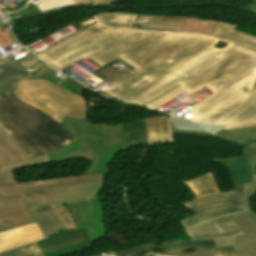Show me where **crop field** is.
<instances>
[{
    "label": "crop field",
    "mask_w": 256,
    "mask_h": 256,
    "mask_svg": "<svg viewBox=\"0 0 256 256\" xmlns=\"http://www.w3.org/2000/svg\"><path fill=\"white\" fill-rule=\"evenodd\" d=\"M197 34L112 29L97 23L37 54L63 70L85 56L100 66L116 59L135 70L107 95L155 109L202 87L214 94L189 110L192 120L214 123L240 106L256 80V53Z\"/></svg>",
    "instance_id": "1"
},
{
    "label": "crop field",
    "mask_w": 256,
    "mask_h": 256,
    "mask_svg": "<svg viewBox=\"0 0 256 256\" xmlns=\"http://www.w3.org/2000/svg\"><path fill=\"white\" fill-rule=\"evenodd\" d=\"M0 115L4 118L0 124L29 158L75 140L55 119L22 102L13 92L0 94Z\"/></svg>",
    "instance_id": "2"
},
{
    "label": "crop field",
    "mask_w": 256,
    "mask_h": 256,
    "mask_svg": "<svg viewBox=\"0 0 256 256\" xmlns=\"http://www.w3.org/2000/svg\"><path fill=\"white\" fill-rule=\"evenodd\" d=\"M76 140L48 153L52 162L82 158L92 163L84 173L106 172L115 154L124 148V125L93 124L65 116L59 123Z\"/></svg>",
    "instance_id": "3"
},
{
    "label": "crop field",
    "mask_w": 256,
    "mask_h": 256,
    "mask_svg": "<svg viewBox=\"0 0 256 256\" xmlns=\"http://www.w3.org/2000/svg\"><path fill=\"white\" fill-rule=\"evenodd\" d=\"M24 152L12 136L0 126V194L2 197L51 187L102 181L103 174H95L17 183L13 169L51 162L47 154L29 159Z\"/></svg>",
    "instance_id": "4"
},
{
    "label": "crop field",
    "mask_w": 256,
    "mask_h": 256,
    "mask_svg": "<svg viewBox=\"0 0 256 256\" xmlns=\"http://www.w3.org/2000/svg\"><path fill=\"white\" fill-rule=\"evenodd\" d=\"M101 185L102 182H98L43 190L51 206L66 204L76 227L89 226L91 243L106 233L102 224V205L97 195Z\"/></svg>",
    "instance_id": "5"
},
{
    "label": "crop field",
    "mask_w": 256,
    "mask_h": 256,
    "mask_svg": "<svg viewBox=\"0 0 256 256\" xmlns=\"http://www.w3.org/2000/svg\"><path fill=\"white\" fill-rule=\"evenodd\" d=\"M14 93L27 104L46 112L58 123L64 115L85 118L86 105L82 97L48 81L19 80Z\"/></svg>",
    "instance_id": "6"
},
{
    "label": "crop field",
    "mask_w": 256,
    "mask_h": 256,
    "mask_svg": "<svg viewBox=\"0 0 256 256\" xmlns=\"http://www.w3.org/2000/svg\"><path fill=\"white\" fill-rule=\"evenodd\" d=\"M242 186L216 195L185 201L181 205L205 220L239 211Z\"/></svg>",
    "instance_id": "7"
},
{
    "label": "crop field",
    "mask_w": 256,
    "mask_h": 256,
    "mask_svg": "<svg viewBox=\"0 0 256 256\" xmlns=\"http://www.w3.org/2000/svg\"><path fill=\"white\" fill-rule=\"evenodd\" d=\"M217 23L195 18L148 16L143 19H136L132 28L200 33L210 36Z\"/></svg>",
    "instance_id": "8"
},
{
    "label": "crop field",
    "mask_w": 256,
    "mask_h": 256,
    "mask_svg": "<svg viewBox=\"0 0 256 256\" xmlns=\"http://www.w3.org/2000/svg\"><path fill=\"white\" fill-rule=\"evenodd\" d=\"M37 244L45 256H59L91 246L88 228L53 234Z\"/></svg>",
    "instance_id": "9"
},
{
    "label": "crop field",
    "mask_w": 256,
    "mask_h": 256,
    "mask_svg": "<svg viewBox=\"0 0 256 256\" xmlns=\"http://www.w3.org/2000/svg\"><path fill=\"white\" fill-rule=\"evenodd\" d=\"M22 198L44 237L64 230L42 190L23 194Z\"/></svg>",
    "instance_id": "10"
},
{
    "label": "crop field",
    "mask_w": 256,
    "mask_h": 256,
    "mask_svg": "<svg viewBox=\"0 0 256 256\" xmlns=\"http://www.w3.org/2000/svg\"><path fill=\"white\" fill-rule=\"evenodd\" d=\"M34 223L20 195L0 197V232Z\"/></svg>",
    "instance_id": "11"
},
{
    "label": "crop field",
    "mask_w": 256,
    "mask_h": 256,
    "mask_svg": "<svg viewBox=\"0 0 256 256\" xmlns=\"http://www.w3.org/2000/svg\"><path fill=\"white\" fill-rule=\"evenodd\" d=\"M244 235L236 236L233 246L237 256H256V213L251 210L232 214Z\"/></svg>",
    "instance_id": "12"
},
{
    "label": "crop field",
    "mask_w": 256,
    "mask_h": 256,
    "mask_svg": "<svg viewBox=\"0 0 256 256\" xmlns=\"http://www.w3.org/2000/svg\"><path fill=\"white\" fill-rule=\"evenodd\" d=\"M49 68L50 67L41 62L28 70L0 60V93L15 91L18 79L41 78L38 75Z\"/></svg>",
    "instance_id": "13"
},
{
    "label": "crop field",
    "mask_w": 256,
    "mask_h": 256,
    "mask_svg": "<svg viewBox=\"0 0 256 256\" xmlns=\"http://www.w3.org/2000/svg\"><path fill=\"white\" fill-rule=\"evenodd\" d=\"M44 238L36 223L0 233V251Z\"/></svg>",
    "instance_id": "14"
},
{
    "label": "crop field",
    "mask_w": 256,
    "mask_h": 256,
    "mask_svg": "<svg viewBox=\"0 0 256 256\" xmlns=\"http://www.w3.org/2000/svg\"><path fill=\"white\" fill-rule=\"evenodd\" d=\"M170 118H172V120H170L171 133L196 135V136H214L217 131L223 129V126H220V125H211L206 123L193 122V121L176 118L173 116H171Z\"/></svg>",
    "instance_id": "15"
},
{
    "label": "crop field",
    "mask_w": 256,
    "mask_h": 256,
    "mask_svg": "<svg viewBox=\"0 0 256 256\" xmlns=\"http://www.w3.org/2000/svg\"><path fill=\"white\" fill-rule=\"evenodd\" d=\"M235 27L236 25L219 22L212 32L211 37L256 51V38L232 30Z\"/></svg>",
    "instance_id": "16"
},
{
    "label": "crop field",
    "mask_w": 256,
    "mask_h": 256,
    "mask_svg": "<svg viewBox=\"0 0 256 256\" xmlns=\"http://www.w3.org/2000/svg\"><path fill=\"white\" fill-rule=\"evenodd\" d=\"M213 161L224 164L235 187L252 182L250 170L243 156Z\"/></svg>",
    "instance_id": "17"
},
{
    "label": "crop field",
    "mask_w": 256,
    "mask_h": 256,
    "mask_svg": "<svg viewBox=\"0 0 256 256\" xmlns=\"http://www.w3.org/2000/svg\"><path fill=\"white\" fill-rule=\"evenodd\" d=\"M149 144L171 140L168 129V117L152 116L146 118Z\"/></svg>",
    "instance_id": "18"
},
{
    "label": "crop field",
    "mask_w": 256,
    "mask_h": 256,
    "mask_svg": "<svg viewBox=\"0 0 256 256\" xmlns=\"http://www.w3.org/2000/svg\"><path fill=\"white\" fill-rule=\"evenodd\" d=\"M255 118H256V91L240 108H238L230 116L223 119L217 124H237V123L249 121Z\"/></svg>",
    "instance_id": "19"
},
{
    "label": "crop field",
    "mask_w": 256,
    "mask_h": 256,
    "mask_svg": "<svg viewBox=\"0 0 256 256\" xmlns=\"http://www.w3.org/2000/svg\"><path fill=\"white\" fill-rule=\"evenodd\" d=\"M148 144L145 118L125 124V147Z\"/></svg>",
    "instance_id": "20"
},
{
    "label": "crop field",
    "mask_w": 256,
    "mask_h": 256,
    "mask_svg": "<svg viewBox=\"0 0 256 256\" xmlns=\"http://www.w3.org/2000/svg\"><path fill=\"white\" fill-rule=\"evenodd\" d=\"M166 243V242H165ZM215 247L214 240L206 241H174L162 245V254H173L192 250L208 249Z\"/></svg>",
    "instance_id": "21"
},
{
    "label": "crop field",
    "mask_w": 256,
    "mask_h": 256,
    "mask_svg": "<svg viewBox=\"0 0 256 256\" xmlns=\"http://www.w3.org/2000/svg\"><path fill=\"white\" fill-rule=\"evenodd\" d=\"M185 184L195 197L220 192L211 173L189 180Z\"/></svg>",
    "instance_id": "22"
},
{
    "label": "crop field",
    "mask_w": 256,
    "mask_h": 256,
    "mask_svg": "<svg viewBox=\"0 0 256 256\" xmlns=\"http://www.w3.org/2000/svg\"><path fill=\"white\" fill-rule=\"evenodd\" d=\"M215 136L235 144L246 145L256 141V127L240 130H221Z\"/></svg>",
    "instance_id": "23"
},
{
    "label": "crop field",
    "mask_w": 256,
    "mask_h": 256,
    "mask_svg": "<svg viewBox=\"0 0 256 256\" xmlns=\"http://www.w3.org/2000/svg\"><path fill=\"white\" fill-rule=\"evenodd\" d=\"M190 240H204V238L223 235L215 219L205 221L185 232Z\"/></svg>",
    "instance_id": "24"
},
{
    "label": "crop field",
    "mask_w": 256,
    "mask_h": 256,
    "mask_svg": "<svg viewBox=\"0 0 256 256\" xmlns=\"http://www.w3.org/2000/svg\"><path fill=\"white\" fill-rule=\"evenodd\" d=\"M94 17L106 26L126 27L130 28L136 15L131 14H117V13H103L94 15Z\"/></svg>",
    "instance_id": "25"
},
{
    "label": "crop field",
    "mask_w": 256,
    "mask_h": 256,
    "mask_svg": "<svg viewBox=\"0 0 256 256\" xmlns=\"http://www.w3.org/2000/svg\"><path fill=\"white\" fill-rule=\"evenodd\" d=\"M39 248L36 242H34L22 247H18V248L0 253V256H44Z\"/></svg>",
    "instance_id": "26"
},
{
    "label": "crop field",
    "mask_w": 256,
    "mask_h": 256,
    "mask_svg": "<svg viewBox=\"0 0 256 256\" xmlns=\"http://www.w3.org/2000/svg\"><path fill=\"white\" fill-rule=\"evenodd\" d=\"M216 221L226 237L242 234L230 215L216 218Z\"/></svg>",
    "instance_id": "27"
},
{
    "label": "crop field",
    "mask_w": 256,
    "mask_h": 256,
    "mask_svg": "<svg viewBox=\"0 0 256 256\" xmlns=\"http://www.w3.org/2000/svg\"><path fill=\"white\" fill-rule=\"evenodd\" d=\"M41 3L36 5L41 12L54 10L68 5H74L72 0H39Z\"/></svg>",
    "instance_id": "28"
},
{
    "label": "crop field",
    "mask_w": 256,
    "mask_h": 256,
    "mask_svg": "<svg viewBox=\"0 0 256 256\" xmlns=\"http://www.w3.org/2000/svg\"><path fill=\"white\" fill-rule=\"evenodd\" d=\"M253 183L243 185V192L240 200V211L249 209V198L256 193V178H252Z\"/></svg>",
    "instance_id": "29"
},
{
    "label": "crop field",
    "mask_w": 256,
    "mask_h": 256,
    "mask_svg": "<svg viewBox=\"0 0 256 256\" xmlns=\"http://www.w3.org/2000/svg\"><path fill=\"white\" fill-rule=\"evenodd\" d=\"M53 209H54L56 215L58 216V218L60 219V221L62 222L65 229L75 228L73 219H72L67 207L65 206V204L59 205V206H54Z\"/></svg>",
    "instance_id": "30"
},
{
    "label": "crop field",
    "mask_w": 256,
    "mask_h": 256,
    "mask_svg": "<svg viewBox=\"0 0 256 256\" xmlns=\"http://www.w3.org/2000/svg\"><path fill=\"white\" fill-rule=\"evenodd\" d=\"M243 154L251 170L252 175L256 174V143L243 146Z\"/></svg>",
    "instance_id": "31"
},
{
    "label": "crop field",
    "mask_w": 256,
    "mask_h": 256,
    "mask_svg": "<svg viewBox=\"0 0 256 256\" xmlns=\"http://www.w3.org/2000/svg\"><path fill=\"white\" fill-rule=\"evenodd\" d=\"M156 247L157 246L152 242L149 244H145V245L121 250L118 252H114L113 254H114V256H131V255L140 254V253L154 250Z\"/></svg>",
    "instance_id": "32"
},
{
    "label": "crop field",
    "mask_w": 256,
    "mask_h": 256,
    "mask_svg": "<svg viewBox=\"0 0 256 256\" xmlns=\"http://www.w3.org/2000/svg\"><path fill=\"white\" fill-rule=\"evenodd\" d=\"M26 56H27L26 58H25V56H23V57L15 60V61H10V60H4V61H7V62L12 63V64L19 65V66H23V67H26L28 69L32 68L33 66H35L36 64L41 62V60L34 57L30 53L27 54Z\"/></svg>",
    "instance_id": "33"
},
{
    "label": "crop field",
    "mask_w": 256,
    "mask_h": 256,
    "mask_svg": "<svg viewBox=\"0 0 256 256\" xmlns=\"http://www.w3.org/2000/svg\"><path fill=\"white\" fill-rule=\"evenodd\" d=\"M205 220H203L202 218H200L199 216H197L196 214L189 217V218H186L182 221H180L179 223L181 224V226L184 228V230H187L201 222H203Z\"/></svg>",
    "instance_id": "34"
},
{
    "label": "crop field",
    "mask_w": 256,
    "mask_h": 256,
    "mask_svg": "<svg viewBox=\"0 0 256 256\" xmlns=\"http://www.w3.org/2000/svg\"><path fill=\"white\" fill-rule=\"evenodd\" d=\"M99 75L102 76L104 79H107L105 81H107L110 84L123 76L122 74H120L112 68L100 73Z\"/></svg>",
    "instance_id": "35"
},
{
    "label": "crop field",
    "mask_w": 256,
    "mask_h": 256,
    "mask_svg": "<svg viewBox=\"0 0 256 256\" xmlns=\"http://www.w3.org/2000/svg\"><path fill=\"white\" fill-rule=\"evenodd\" d=\"M171 256H216L215 248L201 251L173 254Z\"/></svg>",
    "instance_id": "36"
},
{
    "label": "crop field",
    "mask_w": 256,
    "mask_h": 256,
    "mask_svg": "<svg viewBox=\"0 0 256 256\" xmlns=\"http://www.w3.org/2000/svg\"><path fill=\"white\" fill-rule=\"evenodd\" d=\"M217 256H236L232 246L216 248Z\"/></svg>",
    "instance_id": "37"
},
{
    "label": "crop field",
    "mask_w": 256,
    "mask_h": 256,
    "mask_svg": "<svg viewBox=\"0 0 256 256\" xmlns=\"http://www.w3.org/2000/svg\"><path fill=\"white\" fill-rule=\"evenodd\" d=\"M216 247H222V246H228L235 244V236L223 238V239H217L215 240Z\"/></svg>",
    "instance_id": "38"
},
{
    "label": "crop field",
    "mask_w": 256,
    "mask_h": 256,
    "mask_svg": "<svg viewBox=\"0 0 256 256\" xmlns=\"http://www.w3.org/2000/svg\"><path fill=\"white\" fill-rule=\"evenodd\" d=\"M11 37H10L9 33H3L2 34V32L0 30V45L5 47V46H7L11 43H14Z\"/></svg>",
    "instance_id": "39"
},
{
    "label": "crop field",
    "mask_w": 256,
    "mask_h": 256,
    "mask_svg": "<svg viewBox=\"0 0 256 256\" xmlns=\"http://www.w3.org/2000/svg\"><path fill=\"white\" fill-rule=\"evenodd\" d=\"M253 126H256V120L235 125V126H226L225 129H240V128L253 127Z\"/></svg>",
    "instance_id": "40"
},
{
    "label": "crop field",
    "mask_w": 256,
    "mask_h": 256,
    "mask_svg": "<svg viewBox=\"0 0 256 256\" xmlns=\"http://www.w3.org/2000/svg\"><path fill=\"white\" fill-rule=\"evenodd\" d=\"M118 1H121V0H108V1L102 2V3H100V4L111 5V4L116 3V2H118Z\"/></svg>",
    "instance_id": "41"
},
{
    "label": "crop field",
    "mask_w": 256,
    "mask_h": 256,
    "mask_svg": "<svg viewBox=\"0 0 256 256\" xmlns=\"http://www.w3.org/2000/svg\"><path fill=\"white\" fill-rule=\"evenodd\" d=\"M246 8H249V9H251V10L256 12V2L251 3Z\"/></svg>",
    "instance_id": "42"
},
{
    "label": "crop field",
    "mask_w": 256,
    "mask_h": 256,
    "mask_svg": "<svg viewBox=\"0 0 256 256\" xmlns=\"http://www.w3.org/2000/svg\"><path fill=\"white\" fill-rule=\"evenodd\" d=\"M76 4L91 3L89 0H73Z\"/></svg>",
    "instance_id": "43"
},
{
    "label": "crop field",
    "mask_w": 256,
    "mask_h": 256,
    "mask_svg": "<svg viewBox=\"0 0 256 256\" xmlns=\"http://www.w3.org/2000/svg\"><path fill=\"white\" fill-rule=\"evenodd\" d=\"M100 256H113L110 251L99 253Z\"/></svg>",
    "instance_id": "44"
},
{
    "label": "crop field",
    "mask_w": 256,
    "mask_h": 256,
    "mask_svg": "<svg viewBox=\"0 0 256 256\" xmlns=\"http://www.w3.org/2000/svg\"><path fill=\"white\" fill-rule=\"evenodd\" d=\"M94 4H97V3H100L102 1H105V0H92Z\"/></svg>",
    "instance_id": "45"
},
{
    "label": "crop field",
    "mask_w": 256,
    "mask_h": 256,
    "mask_svg": "<svg viewBox=\"0 0 256 256\" xmlns=\"http://www.w3.org/2000/svg\"><path fill=\"white\" fill-rule=\"evenodd\" d=\"M223 237H225V236H218V237H212V238H207V239H217V238H223Z\"/></svg>",
    "instance_id": "46"
},
{
    "label": "crop field",
    "mask_w": 256,
    "mask_h": 256,
    "mask_svg": "<svg viewBox=\"0 0 256 256\" xmlns=\"http://www.w3.org/2000/svg\"><path fill=\"white\" fill-rule=\"evenodd\" d=\"M140 256H154L153 254H144V255H140Z\"/></svg>",
    "instance_id": "47"
},
{
    "label": "crop field",
    "mask_w": 256,
    "mask_h": 256,
    "mask_svg": "<svg viewBox=\"0 0 256 256\" xmlns=\"http://www.w3.org/2000/svg\"><path fill=\"white\" fill-rule=\"evenodd\" d=\"M256 87V82H255V84H254V86H253V88H252V91H253V89ZM252 91H251V93H252Z\"/></svg>",
    "instance_id": "48"
},
{
    "label": "crop field",
    "mask_w": 256,
    "mask_h": 256,
    "mask_svg": "<svg viewBox=\"0 0 256 256\" xmlns=\"http://www.w3.org/2000/svg\"><path fill=\"white\" fill-rule=\"evenodd\" d=\"M93 256H99L98 254H96V255H93Z\"/></svg>",
    "instance_id": "49"
},
{
    "label": "crop field",
    "mask_w": 256,
    "mask_h": 256,
    "mask_svg": "<svg viewBox=\"0 0 256 256\" xmlns=\"http://www.w3.org/2000/svg\"><path fill=\"white\" fill-rule=\"evenodd\" d=\"M3 119L1 116H0V120Z\"/></svg>",
    "instance_id": "50"
},
{
    "label": "crop field",
    "mask_w": 256,
    "mask_h": 256,
    "mask_svg": "<svg viewBox=\"0 0 256 256\" xmlns=\"http://www.w3.org/2000/svg\"><path fill=\"white\" fill-rule=\"evenodd\" d=\"M155 256H158V255H155Z\"/></svg>",
    "instance_id": "51"
},
{
    "label": "crop field",
    "mask_w": 256,
    "mask_h": 256,
    "mask_svg": "<svg viewBox=\"0 0 256 256\" xmlns=\"http://www.w3.org/2000/svg\"><path fill=\"white\" fill-rule=\"evenodd\" d=\"M253 1H256V0H253Z\"/></svg>",
    "instance_id": "52"
}]
</instances>
